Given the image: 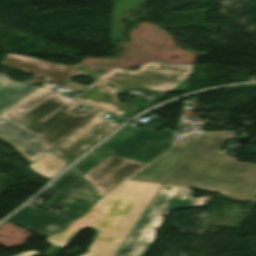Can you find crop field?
<instances>
[{
  "mask_svg": "<svg viewBox=\"0 0 256 256\" xmlns=\"http://www.w3.org/2000/svg\"><path fill=\"white\" fill-rule=\"evenodd\" d=\"M52 91H49L44 88H37L5 113H3L0 117L9 119L10 121L16 120L20 117L23 113L49 95Z\"/></svg>",
  "mask_w": 256,
  "mask_h": 256,
  "instance_id": "obj_14",
  "label": "crop field"
},
{
  "mask_svg": "<svg viewBox=\"0 0 256 256\" xmlns=\"http://www.w3.org/2000/svg\"><path fill=\"white\" fill-rule=\"evenodd\" d=\"M74 196H77V195L74 194ZM77 197H79V196H77Z\"/></svg>",
  "mask_w": 256,
  "mask_h": 256,
  "instance_id": "obj_19",
  "label": "crop field"
},
{
  "mask_svg": "<svg viewBox=\"0 0 256 256\" xmlns=\"http://www.w3.org/2000/svg\"><path fill=\"white\" fill-rule=\"evenodd\" d=\"M47 188L59 193L46 202V204L63 208L65 209L63 212L55 216L42 212L32 206H26L5 221L49 235L64 229L71 219L86 212L90 205L96 201L97 197L90 184L70 169L61 174ZM74 193L83 198L72 196Z\"/></svg>",
  "mask_w": 256,
  "mask_h": 256,
  "instance_id": "obj_3",
  "label": "crop field"
},
{
  "mask_svg": "<svg viewBox=\"0 0 256 256\" xmlns=\"http://www.w3.org/2000/svg\"><path fill=\"white\" fill-rule=\"evenodd\" d=\"M191 67V64L167 65L154 61L141 66L138 71L114 68L98 81L130 90L145 88L169 91L190 75Z\"/></svg>",
  "mask_w": 256,
  "mask_h": 256,
  "instance_id": "obj_7",
  "label": "crop field"
},
{
  "mask_svg": "<svg viewBox=\"0 0 256 256\" xmlns=\"http://www.w3.org/2000/svg\"><path fill=\"white\" fill-rule=\"evenodd\" d=\"M31 254H37V252L31 251V252L23 253V254L16 255V256H29V255H31Z\"/></svg>",
  "mask_w": 256,
  "mask_h": 256,
  "instance_id": "obj_18",
  "label": "crop field"
},
{
  "mask_svg": "<svg viewBox=\"0 0 256 256\" xmlns=\"http://www.w3.org/2000/svg\"><path fill=\"white\" fill-rule=\"evenodd\" d=\"M0 140L10 144L29 163L45 153L38 136L28 134L2 118H0Z\"/></svg>",
  "mask_w": 256,
  "mask_h": 256,
  "instance_id": "obj_11",
  "label": "crop field"
},
{
  "mask_svg": "<svg viewBox=\"0 0 256 256\" xmlns=\"http://www.w3.org/2000/svg\"><path fill=\"white\" fill-rule=\"evenodd\" d=\"M161 184L126 180L104 196L83 218L66 232L58 233L48 242L55 246L44 256H56L84 227L97 232L88 253L81 256H115L141 218Z\"/></svg>",
  "mask_w": 256,
  "mask_h": 256,
  "instance_id": "obj_2",
  "label": "crop field"
},
{
  "mask_svg": "<svg viewBox=\"0 0 256 256\" xmlns=\"http://www.w3.org/2000/svg\"><path fill=\"white\" fill-rule=\"evenodd\" d=\"M63 87H66V88H69V89H73V90H76V91H80V90H82L83 88H85L87 86L80 85V84H77V83H74V82L70 81L69 83H67Z\"/></svg>",
  "mask_w": 256,
  "mask_h": 256,
  "instance_id": "obj_17",
  "label": "crop field"
},
{
  "mask_svg": "<svg viewBox=\"0 0 256 256\" xmlns=\"http://www.w3.org/2000/svg\"><path fill=\"white\" fill-rule=\"evenodd\" d=\"M236 131H201L173 148L130 179L212 190L238 199L256 195V164L235 161L220 151Z\"/></svg>",
  "mask_w": 256,
  "mask_h": 256,
  "instance_id": "obj_1",
  "label": "crop field"
},
{
  "mask_svg": "<svg viewBox=\"0 0 256 256\" xmlns=\"http://www.w3.org/2000/svg\"><path fill=\"white\" fill-rule=\"evenodd\" d=\"M0 65L14 68L60 85L67 82L78 67L77 64L69 66L9 53H6Z\"/></svg>",
  "mask_w": 256,
  "mask_h": 256,
  "instance_id": "obj_10",
  "label": "crop field"
},
{
  "mask_svg": "<svg viewBox=\"0 0 256 256\" xmlns=\"http://www.w3.org/2000/svg\"><path fill=\"white\" fill-rule=\"evenodd\" d=\"M172 138L128 126L74 164L72 169L83 176L110 154L147 164L170 147Z\"/></svg>",
  "mask_w": 256,
  "mask_h": 256,
  "instance_id": "obj_4",
  "label": "crop field"
},
{
  "mask_svg": "<svg viewBox=\"0 0 256 256\" xmlns=\"http://www.w3.org/2000/svg\"><path fill=\"white\" fill-rule=\"evenodd\" d=\"M118 95L106 84L96 82L75 97V100L120 116L129 107L118 102L116 98Z\"/></svg>",
  "mask_w": 256,
  "mask_h": 256,
  "instance_id": "obj_12",
  "label": "crop field"
},
{
  "mask_svg": "<svg viewBox=\"0 0 256 256\" xmlns=\"http://www.w3.org/2000/svg\"><path fill=\"white\" fill-rule=\"evenodd\" d=\"M104 115L99 111L50 150L71 163L119 126L102 118Z\"/></svg>",
  "mask_w": 256,
  "mask_h": 256,
  "instance_id": "obj_8",
  "label": "crop field"
},
{
  "mask_svg": "<svg viewBox=\"0 0 256 256\" xmlns=\"http://www.w3.org/2000/svg\"><path fill=\"white\" fill-rule=\"evenodd\" d=\"M32 169V168H31ZM33 170V169H32ZM34 171V170H33Z\"/></svg>",
  "mask_w": 256,
  "mask_h": 256,
  "instance_id": "obj_20",
  "label": "crop field"
},
{
  "mask_svg": "<svg viewBox=\"0 0 256 256\" xmlns=\"http://www.w3.org/2000/svg\"><path fill=\"white\" fill-rule=\"evenodd\" d=\"M102 75H104V73L95 71L93 69H90L81 65H79L78 69L73 74V76H83V77H87L95 80L100 78Z\"/></svg>",
  "mask_w": 256,
  "mask_h": 256,
  "instance_id": "obj_16",
  "label": "crop field"
},
{
  "mask_svg": "<svg viewBox=\"0 0 256 256\" xmlns=\"http://www.w3.org/2000/svg\"><path fill=\"white\" fill-rule=\"evenodd\" d=\"M8 78L0 73V115L37 88L34 85L12 81Z\"/></svg>",
  "mask_w": 256,
  "mask_h": 256,
  "instance_id": "obj_13",
  "label": "crop field"
},
{
  "mask_svg": "<svg viewBox=\"0 0 256 256\" xmlns=\"http://www.w3.org/2000/svg\"><path fill=\"white\" fill-rule=\"evenodd\" d=\"M162 184L137 226L125 241L116 256H143L151 244L164 215L174 209L206 206L212 196L191 199L189 189ZM183 192H186L184 194ZM176 193V196L173 195Z\"/></svg>",
  "mask_w": 256,
  "mask_h": 256,
  "instance_id": "obj_6",
  "label": "crop field"
},
{
  "mask_svg": "<svg viewBox=\"0 0 256 256\" xmlns=\"http://www.w3.org/2000/svg\"><path fill=\"white\" fill-rule=\"evenodd\" d=\"M66 166L63 159L56 157L51 152H47L30 165L36 172L50 179Z\"/></svg>",
  "mask_w": 256,
  "mask_h": 256,
  "instance_id": "obj_15",
  "label": "crop field"
},
{
  "mask_svg": "<svg viewBox=\"0 0 256 256\" xmlns=\"http://www.w3.org/2000/svg\"><path fill=\"white\" fill-rule=\"evenodd\" d=\"M79 105L53 92L13 123L42 136L44 148L49 150L98 112L94 108L83 116L69 112Z\"/></svg>",
  "mask_w": 256,
  "mask_h": 256,
  "instance_id": "obj_5",
  "label": "crop field"
},
{
  "mask_svg": "<svg viewBox=\"0 0 256 256\" xmlns=\"http://www.w3.org/2000/svg\"><path fill=\"white\" fill-rule=\"evenodd\" d=\"M144 165L110 155L83 177L89 180L98 195L102 196L113 186L129 177Z\"/></svg>",
  "mask_w": 256,
  "mask_h": 256,
  "instance_id": "obj_9",
  "label": "crop field"
}]
</instances>
